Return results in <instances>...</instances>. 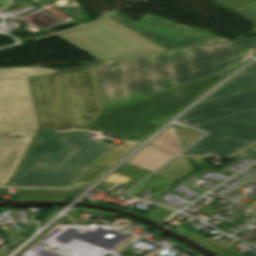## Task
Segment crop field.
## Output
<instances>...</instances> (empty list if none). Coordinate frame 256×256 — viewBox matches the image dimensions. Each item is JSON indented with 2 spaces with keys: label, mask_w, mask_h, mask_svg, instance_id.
<instances>
[{
  "label": "crop field",
  "mask_w": 256,
  "mask_h": 256,
  "mask_svg": "<svg viewBox=\"0 0 256 256\" xmlns=\"http://www.w3.org/2000/svg\"><path fill=\"white\" fill-rule=\"evenodd\" d=\"M256 52L243 38L194 49L97 63L104 109L228 70Z\"/></svg>",
  "instance_id": "8a807250"
},
{
  "label": "crop field",
  "mask_w": 256,
  "mask_h": 256,
  "mask_svg": "<svg viewBox=\"0 0 256 256\" xmlns=\"http://www.w3.org/2000/svg\"><path fill=\"white\" fill-rule=\"evenodd\" d=\"M90 134L41 130L9 186L68 188L111 146L86 139Z\"/></svg>",
  "instance_id": "ac0d7876"
},
{
  "label": "crop field",
  "mask_w": 256,
  "mask_h": 256,
  "mask_svg": "<svg viewBox=\"0 0 256 256\" xmlns=\"http://www.w3.org/2000/svg\"><path fill=\"white\" fill-rule=\"evenodd\" d=\"M29 80L40 128L86 127L103 113L96 64Z\"/></svg>",
  "instance_id": "34b2d1b8"
},
{
  "label": "crop field",
  "mask_w": 256,
  "mask_h": 256,
  "mask_svg": "<svg viewBox=\"0 0 256 256\" xmlns=\"http://www.w3.org/2000/svg\"><path fill=\"white\" fill-rule=\"evenodd\" d=\"M57 70L42 67L0 69V185L7 184L39 129L28 77Z\"/></svg>",
  "instance_id": "412701ff"
},
{
  "label": "crop field",
  "mask_w": 256,
  "mask_h": 256,
  "mask_svg": "<svg viewBox=\"0 0 256 256\" xmlns=\"http://www.w3.org/2000/svg\"><path fill=\"white\" fill-rule=\"evenodd\" d=\"M233 69L105 112L88 128L139 142Z\"/></svg>",
  "instance_id": "f4fd0767"
},
{
  "label": "crop field",
  "mask_w": 256,
  "mask_h": 256,
  "mask_svg": "<svg viewBox=\"0 0 256 256\" xmlns=\"http://www.w3.org/2000/svg\"><path fill=\"white\" fill-rule=\"evenodd\" d=\"M101 61L166 51L108 17L56 34Z\"/></svg>",
  "instance_id": "dd49c442"
},
{
  "label": "crop field",
  "mask_w": 256,
  "mask_h": 256,
  "mask_svg": "<svg viewBox=\"0 0 256 256\" xmlns=\"http://www.w3.org/2000/svg\"><path fill=\"white\" fill-rule=\"evenodd\" d=\"M193 126L208 135L186 150L188 155L228 156L256 141V108Z\"/></svg>",
  "instance_id": "e52e79f7"
},
{
  "label": "crop field",
  "mask_w": 256,
  "mask_h": 256,
  "mask_svg": "<svg viewBox=\"0 0 256 256\" xmlns=\"http://www.w3.org/2000/svg\"><path fill=\"white\" fill-rule=\"evenodd\" d=\"M107 16L168 50L229 41L150 14L137 23L117 12Z\"/></svg>",
  "instance_id": "d8731c3e"
},
{
  "label": "crop field",
  "mask_w": 256,
  "mask_h": 256,
  "mask_svg": "<svg viewBox=\"0 0 256 256\" xmlns=\"http://www.w3.org/2000/svg\"><path fill=\"white\" fill-rule=\"evenodd\" d=\"M256 107V89L212 103L196 106L178 121L193 125Z\"/></svg>",
  "instance_id": "5a996713"
},
{
  "label": "crop field",
  "mask_w": 256,
  "mask_h": 256,
  "mask_svg": "<svg viewBox=\"0 0 256 256\" xmlns=\"http://www.w3.org/2000/svg\"><path fill=\"white\" fill-rule=\"evenodd\" d=\"M256 88V62L235 76L199 104L219 100Z\"/></svg>",
  "instance_id": "3316defc"
},
{
  "label": "crop field",
  "mask_w": 256,
  "mask_h": 256,
  "mask_svg": "<svg viewBox=\"0 0 256 256\" xmlns=\"http://www.w3.org/2000/svg\"><path fill=\"white\" fill-rule=\"evenodd\" d=\"M134 145L136 144L127 142H123L121 146L113 145L110 148L112 151L105 152L103 156L72 187L79 184L89 185L108 168L115 164L122 156H124Z\"/></svg>",
  "instance_id": "28ad6ade"
},
{
  "label": "crop field",
  "mask_w": 256,
  "mask_h": 256,
  "mask_svg": "<svg viewBox=\"0 0 256 256\" xmlns=\"http://www.w3.org/2000/svg\"><path fill=\"white\" fill-rule=\"evenodd\" d=\"M172 156L169 153L147 145L126 161V163L152 172Z\"/></svg>",
  "instance_id": "d1516ede"
},
{
  "label": "crop field",
  "mask_w": 256,
  "mask_h": 256,
  "mask_svg": "<svg viewBox=\"0 0 256 256\" xmlns=\"http://www.w3.org/2000/svg\"><path fill=\"white\" fill-rule=\"evenodd\" d=\"M174 230L208 246L209 248L213 249L214 251H216L224 256H243L234 251L232 245L237 243L234 240H232L230 243H228L226 246H224V245L214 242L212 240L206 239V238H204L194 232H191L181 226L175 228Z\"/></svg>",
  "instance_id": "22f410ed"
},
{
  "label": "crop field",
  "mask_w": 256,
  "mask_h": 256,
  "mask_svg": "<svg viewBox=\"0 0 256 256\" xmlns=\"http://www.w3.org/2000/svg\"><path fill=\"white\" fill-rule=\"evenodd\" d=\"M190 170H192V166L189 164L187 157L178 156L155 175L174 181Z\"/></svg>",
  "instance_id": "cbeb9de0"
},
{
  "label": "crop field",
  "mask_w": 256,
  "mask_h": 256,
  "mask_svg": "<svg viewBox=\"0 0 256 256\" xmlns=\"http://www.w3.org/2000/svg\"><path fill=\"white\" fill-rule=\"evenodd\" d=\"M80 190H25L19 189L18 198H54L71 199Z\"/></svg>",
  "instance_id": "5142ce71"
},
{
  "label": "crop field",
  "mask_w": 256,
  "mask_h": 256,
  "mask_svg": "<svg viewBox=\"0 0 256 256\" xmlns=\"http://www.w3.org/2000/svg\"><path fill=\"white\" fill-rule=\"evenodd\" d=\"M174 133L175 129L172 132H170L165 138H163L159 143H157L156 146L163 148L167 151H170L174 154L183 150L181 147L180 140Z\"/></svg>",
  "instance_id": "d9b57169"
},
{
  "label": "crop field",
  "mask_w": 256,
  "mask_h": 256,
  "mask_svg": "<svg viewBox=\"0 0 256 256\" xmlns=\"http://www.w3.org/2000/svg\"><path fill=\"white\" fill-rule=\"evenodd\" d=\"M233 10L256 25V1ZM252 31L256 33V28Z\"/></svg>",
  "instance_id": "733c2abd"
},
{
  "label": "crop field",
  "mask_w": 256,
  "mask_h": 256,
  "mask_svg": "<svg viewBox=\"0 0 256 256\" xmlns=\"http://www.w3.org/2000/svg\"><path fill=\"white\" fill-rule=\"evenodd\" d=\"M226 11L236 8L238 6L250 3L255 0H211Z\"/></svg>",
  "instance_id": "4a817a6b"
},
{
  "label": "crop field",
  "mask_w": 256,
  "mask_h": 256,
  "mask_svg": "<svg viewBox=\"0 0 256 256\" xmlns=\"http://www.w3.org/2000/svg\"><path fill=\"white\" fill-rule=\"evenodd\" d=\"M255 145V144H254ZM253 146V145H252ZM251 147V146H250ZM249 148V147H248ZM247 149V148H246ZM245 150V149H244ZM243 151V150H242ZM241 152V151H240ZM239 153V152H238ZM239 154H242L244 156H247V157H252V156H256V145L239 153Z\"/></svg>",
  "instance_id": "bc2a9ffb"
}]
</instances>
